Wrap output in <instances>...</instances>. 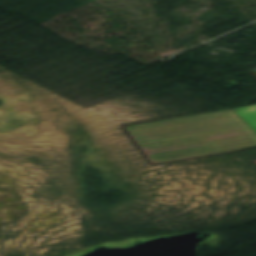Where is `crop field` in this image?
<instances>
[{
  "instance_id": "crop-field-1",
  "label": "crop field",
  "mask_w": 256,
  "mask_h": 256,
  "mask_svg": "<svg viewBox=\"0 0 256 256\" xmlns=\"http://www.w3.org/2000/svg\"><path fill=\"white\" fill-rule=\"evenodd\" d=\"M125 128L152 164L256 147V135L231 109Z\"/></svg>"
},
{
  "instance_id": "crop-field-2",
  "label": "crop field",
  "mask_w": 256,
  "mask_h": 256,
  "mask_svg": "<svg viewBox=\"0 0 256 256\" xmlns=\"http://www.w3.org/2000/svg\"><path fill=\"white\" fill-rule=\"evenodd\" d=\"M241 119L256 133V105L233 109Z\"/></svg>"
},
{
  "instance_id": "crop-field-3",
  "label": "crop field",
  "mask_w": 256,
  "mask_h": 256,
  "mask_svg": "<svg viewBox=\"0 0 256 256\" xmlns=\"http://www.w3.org/2000/svg\"><path fill=\"white\" fill-rule=\"evenodd\" d=\"M254 162H256V161H254Z\"/></svg>"
}]
</instances>
